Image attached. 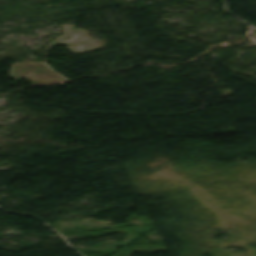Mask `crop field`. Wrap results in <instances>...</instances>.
I'll return each instance as SVG.
<instances>
[{
	"instance_id": "1",
	"label": "crop field",
	"mask_w": 256,
	"mask_h": 256,
	"mask_svg": "<svg viewBox=\"0 0 256 256\" xmlns=\"http://www.w3.org/2000/svg\"><path fill=\"white\" fill-rule=\"evenodd\" d=\"M62 26L66 29L65 33L50 42L48 46L45 47L44 52L50 50L51 46L55 44L67 45L72 54L92 51L107 45L106 43L94 39L92 41L91 38L85 35L88 32L84 31V29H78L75 28L76 26L74 25L67 24H63ZM74 44H76L77 47H73L72 45Z\"/></svg>"
},
{
	"instance_id": "2",
	"label": "crop field",
	"mask_w": 256,
	"mask_h": 256,
	"mask_svg": "<svg viewBox=\"0 0 256 256\" xmlns=\"http://www.w3.org/2000/svg\"><path fill=\"white\" fill-rule=\"evenodd\" d=\"M26 63H39V64H43L42 62H26ZM21 64H22V63H21ZM16 66H17V64L12 65V68H11V70H10V75L12 76V79H14V80H18V79L20 78L19 76L12 75L14 69L16 68ZM26 66H40V65H26ZM44 66H45V65H44ZM19 67H23V66H20V64H19L17 71H15V74H18V71L21 70V68H19ZM30 68H38V67H30ZM46 68H48L49 70H27V71H40V72H43V71H50V68H49L48 66H46ZM39 69H42V68H39ZM24 72H25V71H21V73L18 74V75H21V74H23ZM27 74H28V76H29V74H31V73L28 72ZM35 74H52V75H46V76H38V77H40V78L60 76V75H54L53 72H49V73H35ZM28 76L22 75L21 77H24V78H26V79L30 78V79H33V80H39V79L31 78V77H28ZM31 76H33V75H31ZM59 78H62V77H59ZM55 79H57V78H55ZM43 80H50V79H43ZM30 81H31L32 83H51V82H61V81H65V80H64V79H60V80L48 81V82H34V81H32V80H30Z\"/></svg>"
}]
</instances>
